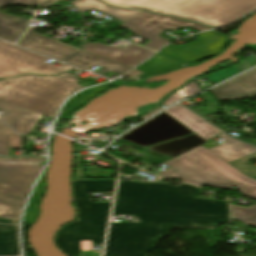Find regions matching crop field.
I'll return each instance as SVG.
<instances>
[{
	"label": "crop field",
	"instance_id": "obj_8",
	"mask_svg": "<svg viewBox=\"0 0 256 256\" xmlns=\"http://www.w3.org/2000/svg\"><path fill=\"white\" fill-rule=\"evenodd\" d=\"M121 26L129 28L132 33L151 41L144 46L152 50H157L169 42L168 40L158 36L164 31V29L175 30L179 27H191L199 31L210 29L196 23L164 17L144 11L129 19Z\"/></svg>",
	"mask_w": 256,
	"mask_h": 256
},
{
	"label": "crop field",
	"instance_id": "obj_24",
	"mask_svg": "<svg viewBox=\"0 0 256 256\" xmlns=\"http://www.w3.org/2000/svg\"><path fill=\"white\" fill-rule=\"evenodd\" d=\"M188 84H189V83H188ZM199 90H200V89L198 88V86L195 84V82H193V83H191V84L185 86L184 88L180 89L178 92H176V93L173 94L172 96H170V97L165 101V103H164L163 105L168 106V105H170L172 102H174V101H176V100H178V99H180V98H182V97H185V96H189V95H191V94H194V93H196V92L199 91ZM163 105H161V106H163ZM161 106H160V108L157 109L156 111H154V112H152V113H150V114H148V115H146V116H144V117H142V118H140V119L144 120V119H146L147 117H149L150 115H152V114H154V113H156V112H158V111L164 109V108H162Z\"/></svg>",
	"mask_w": 256,
	"mask_h": 256
},
{
	"label": "crop field",
	"instance_id": "obj_20",
	"mask_svg": "<svg viewBox=\"0 0 256 256\" xmlns=\"http://www.w3.org/2000/svg\"><path fill=\"white\" fill-rule=\"evenodd\" d=\"M185 64L175 59L157 53L152 59L143 63L136 70L142 72H163Z\"/></svg>",
	"mask_w": 256,
	"mask_h": 256
},
{
	"label": "crop field",
	"instance_id": "obj_16",
	"mask_svg": "<svg viewBox=\"0 0 256 256\" xmlns=\"http://www.w3.org/2000/svg\"><path fill=\"white\" fill-rule=\"evenodd\" d=\"M66 63L81 67L85 70L92 69L96 65L102 67L100 72L106 74L108 71L122 75L128 68L118 63L103 59L101 57L81 51L66 61Z\"/></svg>",
	"mask_w": 256,
	"mask_h": 256
},
{
	"label": "crop field",
	"instance_id": "obj_28",
	"mask_svg": "<svg viewBox=\"0 0 256 256\" xmlns=\"http://www.w3.org/2000/svg\"><path fill=\"white\" fill-rule=\"evenodd\" d=\"M256 49V48H255Z\"/></svg>",
	"mask_w": 256,
	"mask_h": 256
},
{
	"label": "crop field",
	"instance_id": "obj_15",
	"mask_svg": "<svg viewBox=\"0 0 256 256\" xmlns=\"http://www.w3.org/2000/svg\"><path fill=\"white\" fill-rule=\"evenodd\" d=\"M165 112L207 140L221 132L180 105Z\"/></svg>",
	"mask_w": 256,
	"mask_h": 256
},
{
	"label": "crop field",
	"instance_id": "obj_22",
	"mask_svg": "<svg viewBox=\"0 0 256 256\" xmlns=\"http://www.w3.org/2000/svg\"><path fill=\"white\" fill-rule=\"evenodd\" d=\"M106 88H108V87H101V88L90 89V90H86V91L78 94L77 96H75L72 100H70L67 103V105L65 106L64 111H63L61 117L65 116L66 114H68L69 112L73 111L74 109L82 106L90 98L94 97L95 95H97L98 93H100L101 91H103Z\"/></svg>",
	"mask_w": 256,
	"mask_h": 256
},
{
	"label": "crop field",
	"instance_id": "obj_4",
	"mask_svg": "<svg viewBox=\"0 0 256 256\" xmlns=\"http://www.w3.org/2000/svg\"><path fill=\"white\" fill-rule=\"evenodd\" d=\"M115 180L73 181L74 201L79 222L59 230L56 242L69 256H79L78 240L93 239L102 244L110 203H91L86 192L113 191Z\"/></svg>",
	"mask_w": 256,
	"mask_h": 256
},
{
	"label": "crop field",
	"instance_id": "obj_11",
	"mask_svg": "<svg viewBox=\"0 0 256 256\" xmlns=\"http://www.w3.org/2000/svg\"><path fill=\"white\" fill-rule=\"evenodd\" d=\"M84 51L129 67L134 66L154 53L152 50L138 47L131 43H128L125 47L105 46L99 43L87 44Z\"/></svg>",
	"mask_w": 256,
	"mask_h": 256
},
{
	"label": "crop field",
	"instance_id": "obj_6",
	"mask_svg": "<svg viewBox=\"0 0 256 256\" xmlns=\"http://www.w3.org/2000/svg\"><path fill=\"white\" fill-rule=\"evenodd\" d=\"M44 158L0 157V218L19 221L30 186L42 169Z\"/></svg>",
	"mask_w": 256,
	"mask_h": 256
},
{
	"label": "crop field",
	"instance_id": "obj_25",
	"mask_svg": "<svg viewBox=\"0 0 256 256\" xmlns=\"http://www.w3.org/2000/svg\"><path fill=\"white\" fill-rule=\"evenodd\" d=\"M240 73L239 70H237L234 66L231 68H228L226 70L220 71V72H216V73H211V74H207L206 76L209 78V80L216 84L228 77H231L235 74Z\"/></svg>",
	"mask_w": 256,
	"mask_h": 256
},
{
	"label": "crop field",
	"instance_id": "obj_12",
	"mask_svg": "<svg viewBox=\"0 0 256 256\" xmlns=\"http://www.w3.org/2000/svg\"><path fill=\"white\" fill-rule=\"evenodd\" d=\"M34 30L35 27L29 29L17 44L60 61L78 52L74 48L58 43L55 39L35 34Z\"/></svg>",
	"mask_w": 256,
	"mask_h": 256
},
{
	"label": "crop field",
	"instance_id": "obj_27",
	"mask_svg": "<svg viewBox=\"0 0 256 256\" xmlns=\"http://www.w3.org/2000/svg\"><path fill=\"white\" fill-rule=\"evenodd\" d=\"M0 223H4V224H17V222H10V221H5V220H1V219H0Z\"/></svg>",
	"mask_w": 256,
	"mask_h": 256
},
{
	"label": "crop field",
	"instance_id": "obj_14",
	"mask_svg": "<svg viewBox=\"0 0 256 256\" xmlns=\"http://www.w3.org/2000/svg\"><path fill=\"white\" fill-rule=\"evenodd\" d=\"M44 0H0V7L9 5V4H18V5H35ZM18 17L9 16L3 13H0V38L5 39L11 43L15 42L20 35L24 32L27 19Z\"/></svg>",
	"mask_w": 256,
	"mask_h": 256
},
{
	"label": "crop field",
	"instance_id": "obj_26",
	"mask_svg": "<svg viewBox=\"0 0 256 256\" xmlns=\"http://www.w3.org/2000/svg\"><path fill=\"white\" fill-rule=\"evenodd\" d=\"M58 0H47V1H44L40 4H38V6H45V7H48L52 4H54L55 2H57Z\"/></svg>",
	"mask_w": 256,
	"mask_h": 256
},
{
	"label": "crop field",
	"instance_id": "obj_17",
	"mask_svg": "<svg viewBox=\"0 0 256 256\" xmlns=\"http://www.w3.org/2000/svg\"><path fill=\"white\" fill-rule=\"evenodd\" d=\"M218 137L225 142L209 150L227 163L256 152L255 147L233 140L224 133L219 134Z\"/></svg>",
	"mask_w": 256,
	"mask_h": 256
},
{
	"label": "crop field",
	"instance_id": "obj_10",
	"mask_svg": "<svg viewBox=\"0 0 256 256\" xmlns=\"http://www.w3.org/2000/svg\"><path fill=\"white\" fill-rule=\"evenodd\" d=\"M197 35L200 39L195 42L179 47L168 45L159 52L190 63L220 52L226 42L225 36L212 32Z\"/></svg>",
	"mask_w": 256,
	"mask_h": 256
},
{
	"label": "crop field",
	"instance_id": "obj_5",
	"mask_svg": "<svg viewBox=\"0 0 256 256\" xmlns=\"http://www.w3.org/2000/svg\"><path fill=\"white\" fill-rule=\"evenodd\" d=\"M77 77L66 73L60 77L24 75L0 81V100L54 118L62 100L82 88Z\"/></svg>",
	"mask_w": 256,
	"mask_h": 256
},
{
	"label": "crop field",
	"instance_id": "obj_23",
	"mask_svg": "<svg viewBox=\"0 0 256 256\" xmlns=\"http://www.w3.org/2000/svg\"><path fill=\"white\" fill-rule=\"evenodd\" d=\"M231 208L234 219H238L246 225L256 226V204L249 208L231 204Z\"/></svg>",
	"mask_w": 256,
	"mask_h": 256
},
{
	"label": "crop field",
	"instance_id": "obj_1",
	"mask_svg": "<svg viewBox=\"0 0 256 256\" xmlns=\"http://www.w3.org/2000/svg\"><path fill=\"white\" fill-rule=\"evenodd\" d=\"M112 214H137L142 223H111L105 256H146L167 227L214 229L229 220L226 202L204 200L189 184L121 181Z\"/></svg>",
	"mask_w": 256,
	"mask_h": 256
},
{
	"label": "crop field",
	"instance_id": "obj_3",
	"mask_svg": "<svg viewBox=\"0 0 256 256\" xmlns=\"http://www.w3.org/2000/svg\"><path fill=\"white\" fill-rule=\"evenodd\" d=\"M111 6L146 9L217 28L253 9L256 0H101Z\"/></svg>",
	"mask_w": 256,
	"mask_h": 256
},
{
	"label": "crop field",
	"instance_id": "obj_19",
	"mask_svg": "<svg viewBox=\"0 0 256 256\" xmlns=\"http://www.w3.org/2000/svg\"><path fill=\"white\" fill-rule=\"evenodd\" d=\"M17 226L0 225V256H19Z\"/></svg>",
	"mask_w": 256,
	"mask_h": 256
},
{
	"label": "crop field",
	"instance_id": "obj_13",
	"mask_svg": "<svg viewBox=\"0 0 256 256\" xmlns=\"http://www.w3.org/2000/svg\"><path fill=\"white\" fill-rule=\"evenodd\" d=\"M217 99H241L256 95V69L213 90Z\"/></svg>",
	"mask_w": 256,
	"mask_h": 256
},
{
	"label": "crop field",
	"instance_id": "obj_2",
	"mask_svg": "<svg viewBox=\"0 0 256 256\" xmlns=\"http://www.w3.org/2000/svg\"><path fill=\"white\" fill-rule=\"evenodd\" d=\"M171 168L158 175L199 186L239 189L245 196L256 199V180L251 179L216 157L204 146L189 151L169 162Z\"/></svg>",
	"mask_w": 256,
	"mask_h": 256
},
{
	"label": "crop field",
	"instance_id": "obj_18",
	"mask_svg": "<svg viewBox=\"0 0 256 256\" xmlns=\"http://www.w3.org/2000/svg\"><path fill=\"white\" fill-rule=\"evenodd\" d=\"M82 13L95 9L102 12H105L123 22L129 18L135 16L136 14L142 12L138 10H128V9H117L111 8L107 5H104L96 0H76L72 2Z\"/></svg>",
	"mask_w": 256,
	"mask_h": 256
},
{
	"label": "crop field",
	"instance_id": "obj_9",
	"mask_svg": "<svg viewBox=\"0 0 256 256\" xmlns=\"http://www.w3.org/2000/svg\"><path fill=\"white\" fill-rule=\"evenodd\" d=\"M0 111H4L1 119L5 121L20 135L29 134L37 121L43 116L41 114L28 111L5 102L0 101ZM17 135L3 122L0 121V154H8V135Z\"/></svg>",
	"mask_w": 256,
	"mask_h": 256
},
{
	"label": "crop field",
	"instance_id": "obj_7",
	"mask_svg": "<svg viewBox=\"0 0 256 256\" xmlns=\"http://www.w3.org/2000/svg\"><path fill=\"white\" fill-rule=\"evenodd\" d=\"M49 58L39 56L0 41V78L14 77L25 73L58 75L73 67H56L44 62Z\"/></svg>",
	"mask_w": 256,
	"mask_h": 256
},
{
	"label": "crop field",
	"instance_id": "obj_21",
	"mask_svg": "<svg viewBox=\"0 0 256 256\" xmlns=\"http://www.w3.org/2000/svg\"><path fill=\"white\" fill-rule=\"evenodd\" d=\"M44 192V174L40 179L37 188L30 200L24 216V223H32L37 217L38 201Z\"/></svg>",
	"mask_w": 256,
	"mask_h": 256
}]
</instances>
